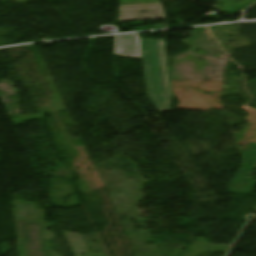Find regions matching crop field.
I'll return each instance as SVG.
<instances>
[{
	"mask_svg": "<svg viewBox=\"0 0 256 256\" xmlns=\"http://www.w3.org/2000/svg\"><path fill=\"white\" fill-rule=\"evenodd\" d=\"M141 48L147 95L159 112L170 111L171 83L165 42L142 39Z\"/></svg>",
	"mask_w": 256,
	"mask_h": 256,
	"instance_id": "crop-field-1",
	"label": "crop field"
},
{
	"mask_svg": "<svg viewBox=\"0 0 256 256\" xmlns=\"http://www.w3.org/2000/svg\"><path fill=\"white\" fill-rule=\"evenodd\" d=\"M165 19L160 0H120L119 22Z\"/></svg>",
	"mask_w": 256,
	"mask_h": 256,
	"instance_id": "crop-field-2",
	"label": "crop field"
},
{
	"mask_svg": "<svg viewBox=\"0 0 256 256\" xmlns=\"http://www.w3.org/2000/svg\"><path fill=\"white\" fill-rule=\"evenodd\" d=\"M116 55L142 58L138 34L115 36Z\"/></svg>",
	"mask_w": 256,
	"mask_h": 256,
	"instance_id": "crop-field-3",
	"label": "crop field"
}]
</instances>
